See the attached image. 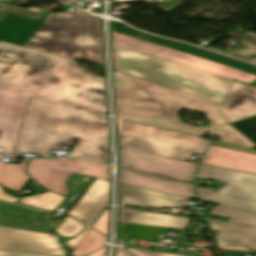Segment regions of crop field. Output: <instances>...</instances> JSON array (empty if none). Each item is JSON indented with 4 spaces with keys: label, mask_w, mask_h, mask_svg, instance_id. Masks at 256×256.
Masks as SVG:
<instances>
[{
    "label": "crop field",
    "mask_w": 256,
    "mask_h": 256,
    "mask_svg": "<svg viewBox=\"0 0 256 256\" xmlns=\"http://www.w3.org/2000/svg\"><path fill=\"white\" fill-rule=\"evenodd\" d=\"M212 229L222 230L215 237L218 245L256 248V228L225 222L208 221Z\"/></svg>",
    "instance_id": "obj_17"
},
{
    "label": "crop field",
    "mask_w": 256,
    "mask_h": 256,
    "mask_svg": "<svg viewBox=\"0 0 256 256\" xmlns=\"http://www.w3.org/2000/svg\"><path fill=\"white\" fill-rule=\"evenodd\" d=\"M188 221L189 219L176 216L119 208L118 222L184 229Z\"/></svg>",
    "instance_id": "obj_18"
},
{
    "label": "crop field",
    "mask_w": 256,
    "mask_h": 256,
    "mask_svg": "<svg viewBox=\"0 0 256 256\" xmlns=\"http://www.w3.org/2000/svg\"><path fill=\"white\" fill-rule=\"evenodd\" d=\"M211 145L256 154V151H254V150H252V149H250V148L235 146V145L226 144V143H221V142H217V141L212 142Z\"/></svg>",
    "instance_id": "obj_30"
},
{
    "label": "crop field",
    "mask_w": 256,
    "mask_h": 256,
    "mask_svg": "<svg viewBox=\"0 0 256 256\" xmlns=\"http://www.w3.org/2000/svg\"><path fill=\"white\" fill-rule=\"evenodd\" d=\"M0 256H39V255H30V254H21V253L0 251Z\"/></svg>",
    "instance_id": "obj_37"
},
{
    "label": "crop field",
    "mask_w": 256,
    "mask_h": 256,
    "mask_svg": "<svg viewBox=\"0 0 256 256\" xmlns=\"http://www.w3.org/2000/svg\"><path fill=\"white\" fill-rule=\"evenodd\" d=\"M3 10L18 14L21 16H25V17H28L31 19H35V20L41 18L43 15H45L47 13L45 11L35 9V8L24 9V8H17V7H13V6H8V7L4 8Z\"/></svg>",
    "instance_id": "obj_28"
},
{
    "label": "crop field",
    "mask_w": 256,
    "mask_h": 256,
    "mask_svg": "<svg viewBox=\"0 0 256 256\" xmlns=\"http://www.w3.org/2000/svg\"><path fill=\"white\" fill-rule=\"evenodd\" d=\"M229 35L243 41L249 49L248 52L238 56L237 58L246 60V59L256 55V35L251 34V33H245L240 29L234 31L233 33H231Z\"/></svg>",
    "instance_id": "obj_24"
},
{
    "label": "crop field",
    "mask_w": 256,
    "mask_h": 256,
    "mask_svg": "<svg viewBox=\"0 0 256 256\" xmlns=\"http://www.w3.org/2000/svg\"><path fill=\"white\" fill-rule=\"evenodd\" d=\"M85 227V225L66 217L55 231L63 236H71L78 233Z\"/></svg>",
    "instance_id": "obj_27"
},
{
    "label": "crop field",
    "mask_w": 256,
    "mask_h": 256,
    "mask_svg": "<svg viewBox=\"0 0 256 256\" xmlns=\"http://www.w3.org/2000/svg\"><path fill=\"white\" fill-rule=\"evenodd\" d=\"M256 175V155L210 146L200 162Z\"/></svg>",
    "instance_id": "obj_14"
},
{
    "label": "crop field",
    "mask_w": 256,
    "mask_h": 256,
    "mask_svg": "<svg viewBox=\"0 0 256 256\" xmlns=\"http://www.w3.org/2000/svg\"><path fill=\"white\" fill-rule=\"evenodd\" d=\"M116 116L179 120L177 112L206 113L212 126L227 123L218 104L185 92L113 71Z\"/></svg>",
    "instance_id": "obj_5"
},
{
    "label": "crop field",
    "mask_w": 256,
    "mask_h": 256,
    "mask_svg": "<svg viewBox=\"0 0 256 256\" xmlns=\"http://www.w3.org/2000/svg\"><path fill=\"white\" fill-rule=\"evenodd\" d=\"M92 228L103 233L105 236H108V222L97 220Z\"/></svg>",
    "instance_id": "obj_33"
},
{
    "label": "crop field",
    "mask_w": 256,
    "mask_h": 256,
    "mask_svg": "<svg viewBox=\"0 0 256 256\" xmlns=\"http://www.w3.org/2000/svg\"><path fill=\"white\" fill-rule=\"evenodd\" d=\"M126 249H128L130 252H132L136 256H176V255L154 253V252H148V251H142V250H136V249H130V248H126Z\"/></svg>",
    "instance_id": "obj_32"
},
{
    "label": "crop field",
    "mask_w": 256,
    "mask_h": 256,
    "mask_svg": "<svg viewBox=\"0 0 256 256\" xmlns=\"http://www.w3.org/2000/svg\"><path fill=\"white\" fill-rule=\"evenodd\" d=\"M0 249L66 255L57 236L0 227Z\"/></svg>",
    "instance_id": "obj_10"
},
{
    "label": "crop field",
    "mask_w": 256,
    "mask_h": 256,
    "mask_svg": "<svg viewBox=\"0 0 256 256\" xmlns=\"http://www.w3.org/2000/svg\"><path fill=\"white\" fill-rule=\"evenodd\" d=\"M119 183L195 199L193 185L167 180L127 169H119Z\"/></svg>",
    "instance_id": "obj_11"
},
{
    "label": "crop field",
    "mask_w": 256,
    "mask_h": 256,
    "mask_svg": "<svg viewBox=\"0 0 256 256\" xmlns=\"http://www.w3.org/2000/svg\"><path fill=\"white\" fill-rule=\"evenodd\" d=\"M64 198L49 191L30 197H23L19 203L53 211Z\"/></svg>",
    "instance_id": "obj_23"
},
{
    "label": "crop field",
    "mask_w": 256,
    "mask_h": 256,
    "mask_svg": "<svg viewBox=\"0 0 256 256\" xmlns=\"http://www.w3.org/2000/svg\"><path fill=\"white\" fill-rule=\"evenodd\" d=\"M221 112L228 122L256 115V88L233 81Z\"/></svg>",
    "instance_id": "obj_12"
},
{
    "label": "crop field",
    "mask_w": 256,
    "mask_h": 256,
    "mask_svg": "<svg viewBox=\"0 0 256 256\" xmlns=\"http://www.w3.org/2000/svg\"><path fill=\"white\" fill-rule=\"evenodd\" d=\"M0 41L104 67L100 20L79 10L48 13L38 22L0 11Z\"/></svg>",
    "instance_id": "obj_4"
},
{
    "label": "crop field",
    "mask_w": 256,
    "mask_h": 256,
    "mask_svg": "<svg viewBox=\"0 0 256 256\" xmlns=\"http://www.w3.org/2000/svg\"><path fill=\"white\" fill-rule=\"evenodd\" d=\"M70 158L109 163L107 116L31 98L14 150L51 158V149L72 146Z\"/></svg>",
    "instance_id": "obj_3"
},
{
    "label": "crop field",
    "mask_w": 256,
    "mask_h": 256,
    "mask_svg": "<svg viewBox=\"0 0 256 256\" xmlns=\"http://www.w3.org/2000/svg\"><path fill=\"white\" fill-rule=\"evenodd\" d=\"M97 232L89 229V231L87 232L86 236L84 237V239H87V240H91L92 237L96 234Z\"/></svg>",
    "instance_id": "obj_39"
},
{
    "label": "crop field",
    "mask_w": 256,
    "mask_h": 256,
    "mask_svg": "<svg viewBox=\"0 0 256 256\" xmlns=\"http://www.w3.org/2000/svg\"><path fill=\"white\" fill-rule=\"evenodd\" d=\"M247 249H252V248H246V250H247Z\"/></svg>",
    "instance_id": "obj_43"
},
{
    "label": "crop field",
    "mask_w": 256,
    "mask_h": 256,
    "mask_svg": "<svg viewBox=\"0 0 256 256\" xmlns=\"http://www.w3.org/2000/svg\"><path fill=\"white\" fill-rule=\"evenodd\" d=\"M2 156L3 154H0V159ZM26 160L27 159L22 160L19 165L0 162V185L20 192L30 179L26 173L23 172Z\"/></svg>",
    "instance_id": "obj_19"
},
{
    "label": "crop field",
    "mask_w": 256,
    "mask_h": 256,
    "mask_svg": "<svg viewBox=\"0 0 256 256\" xmlns=\"http://www.w3.org/2000/svg\"><path fill=\"white\" fill-rule=\"evenodd\" d=\"M105 251H106V248H103V249H101V250H99V251H97V252H95V253H93L89 256H102Z\"/></svg>",
    "instance_id": "obj_41"
},
{
    "label": "crop field",
    "mask_w": 256,
    "mask_h": 256,
    "mask_svg": "<svg viewBox=\"0 0 256 256\" xmlns=\"http://www.w3.org/2000/svg\"><path fill=\"white\" fill-rule=\"evenodd\" d=\"M103 242H104V238L99 233H97L91 241L82 240L81 243L74 250L72 255L74 256L86 255L102 247Z\"/></svg>",
    "instance_id": "obj_26"
},
{
    "label": "crop field",
    "mask_w": 256,
    "mask_h": 256,
    "mask_svg": "<svg viewBox=\"0 0 256 256\" xmlns=\"http://www.w3.org/2000/svg\"><path fill=\"white\" fill-rule=\"evenodd\" d=\"M197 177L226 183L219 191L196 186L200 199L256 212V176L200 164Z\"/></svg>",
    "instance_id": "obj_7"
},
{
    "label": "crop field",
    "mask_w": 256,
    "mask_h": 256,
    "mask_svg": "<svg viewBox=\"0 0 256 256\" xmlns=\"http://www.w3.org/2000/svg\"><path fill=\"white\" fill-rule=\"evenodd\" d=\"M187 201L188 199L186 198L119 184V204L138 207H178Z\"/></svg>",
    "instance_id": "obj_15"
},
{
    "label": "crop field",
    "mask_w": 256,
    "mask_h": 256,
    "mask_svg": "<svg viewBox=\"0 0 256 256\" xmlns=\"http://www.w3.org/2000/svg\"><path fill=\"white\" fill-rule=\"evenodd\" d=\"M210 134L218 135L221 137V142L256 148V146L250 140H248L230 124L222 127H210Z\"/></svg>",
    "instance_id": "obj_22"
},
{
    "label": "crop field",
    "mask_w": 256,
    "mask_h": 256,
    "mask_svg": "<svg viewBox=\"0 0 256 256\" xmlns=\"http://www.w3.org/2000/svg\"><path fill=\"white\" fill-rule=\"evenodd\" d=\"M115 70L224 103L232 79L251 83L256 66L112 22ZM256 87V82L252 85Z\"/></svg>",
    "instance_id": "obj_2"
},
{
    "label": "crop field",
    "mask_w": 256,
    "mask_h": 256,
    "mask_svg": "<svg viewBox=\"0 0 256 256\" xmlns=\"http://www.w3.org/2000/svg\"><path fill=\"white\" fill-rule=\"evenodd\" d=\"M0 199L6 200V201H11V202L18 200L17 198L9 196L6 193H4L1 187H0Z\"/></svg>",
    "instance_id": "obj_35"
},
{
    "label": "crop field",
    "mask_w": 256,
    "mask_h": 256,
    "mask_svg": "<svg viewBox=\"0 0 256 256\" xmlns=\"http://www.w3.org/2000/svg\"><path fill=\"white\" fill-rule=\"evenodd\" d=\"M103 256H106L105 254Z\"/></svg>",
    "instance_id": "obj_44"
},
{
    "label": "crop field",
    "mask_w": 256,
    "mask_h": 256,
    "mask_svg": "<svg viewBox=\"0 0 256 256\" xmlns=\"http://www.w3.org/2000/svg\"><path fill=\"white\" fill-rule=\"evenodd\" d=\"M231 125L256 145V116L231 123Z\"/></svg>",
    "instance_id": "obj_25"
},
{
    "label": "crop field",
    "mask_w": 256,
    "mask_h": 256,
    "mask_svg": "<svg viewBox=\"0 0 256 256\" xmlns=\"http://www.w3.org/2000/svg\"><path fill=\"white\" fill-rule=\"evenodd\" d=\"M88 229H89V228H88ZM88 229H87L86 231L84 230L85 232H83V233L77 235L76 237H74V238H72V239H70V240L64 242L65 245L68 246L70 249H75L76 246L80 243V241H81V240L83 239V237L85 236V234H86V232L88 231Z\"/></svg>",
    "instance_id": "obj_31"
},
{
    "label": "crop field",
    "mask_w": 256,
    "mask_h": 256,
    "mask_svg": "<svg viewBox=\"0 0 256 256\" xmlns=\"http://www.w3.org/2000/svg\"><path fill=\"white\" fill-rule=\"evenodd\" d=\"M107 113L105 80L75 61L0 42V147L12 154L29 98Z\"/></svg>",
    "instance_id": "obj_1"
},
{
    "label": "crop field",
    "mask_w": 256,
    "mask_h": 256,
    "mask_svg": "<svg viewBox=\"0 0 256 256\" xmlns=\"http://www.w3.org/2000/svg\"><path fill=\"white\" fill-rule=\"evenodd\" d=\"M124 119L137 121V122H141V123H145V124H149V125H153V126H158V127H162V128H167V129H171V130H175V131H180V132H184V133H189V134H193V135H197V136H200L204 132L208 131V128H206V127L201 128V127H196V126H190V125H186L185 123L179 122V121L158 120V119H141V118H124Z\"/></svg>",
    "instance_id": "obj_20"
},
{
    "label": "crop field",
    "mask_w": 256,
    "mask_h": 256,
    "mask_svg": "<svg viewBox=\"0 0 256 256\" xmlns=\"http://www.w3.org/2000/svg\"><path fill=\"white\" fill-rule=\"evenodd\" d=\"M51 216V213H47L45 212L43 214V218L50 224V226L52 227L53 231L56 229V227L58 226V224L54 223L53 221H51L49 218Z\"/></svg>",
    "instance_id": "obj_36"
},
{
    "label": "crop field",
    "mask_w": 256,
    "mask_h": 256,
    "mask_svg": "<svg viewBox=\"0 0 256 256\" xmlns=\"http://www.w3.org/2000/svg\"><path fill=\"white\" fill-rule=\"evenodd\" d=\"M117 256H131V255L126 251H124L123 249L117 247Z\"/></svg>",
    "instance_id": "obj_38"
},
{
    "label": "crop field",
    "mask_w": 256,
    "mask_h": 256,
    "mask_svg": "<svg viewBox=\"0 0 256 256\" xmlns=\"http://www.w3.org/2000/svg\"><path fill=\"white\" fill-rule=\"evenodd\" d=\"M119 166L146 171L174 179L192 181L197 164L119 148Z\"/></svg>",
    "instance_id": "obj_9"
},
{
    "label": "crop field",
    "mask_w": 256,
    "mask_h": 256,
    "mask_svg": "<svg viewBox=\"0 0 256 256\" xmlns=\"http://www.w3.org/2000/svg\"><path fill=\"white\" fill-rule=\"evenodd\" d=\"M99 219H100V220H106V221H108V219H109L108 209H105V211L103 212V214L100 216Z\"/></svg>",
    "instance_id": "obj_40"
},
{
    "label": "crop field",
    "mask_w": 256,
    "mask_h": 256,
    "mask_svg": "<svg viewBox=\"0 0 256 256\" xmlns=\"http://www.w3.org/2000/svg\"><path fill=\"white\" fill-rule=\"evenodd\" d=\"M210 214L229 217V222L256 226V213L253 212L219 205L214 207Z\"/></svg>",
    "instance_id": "obj_21"
},
{
    "label": "crop field",
    "mask_w": 256,
    "mask_h": 256,
    "mask_svg": "<svg viewBox=\"0 0 256 256\" xmlns=\"http://www.w3.org/2000/svg\"><path fill=\"white\" fill-rule=\"evenodd\" d=\"M248 51L247 47L243 44L239 45L237 48L233 49L231 52L229 51H226V52H221V53H225V54H228V55H231V56H238L244 52Z\"/></svg>",
    "instance_id": "obj_34"
},
{
    "label": "crop field",
    "mask_w": 256,
    "mask_h": 256,
    "mask_svg": "<svg viewBox=\"0 0 256 256\" xmlns=\"http://www.w3.org/2000/svg\"><path fill=\"white\" fill-rule=\"evenodd\" d=\"M221 249H236V250H245V248H239V247H226V246H219Z\"/></svg>",
    "instance_id": "obj_42"
},
{
    "label": "crop field",
    "mask_w": 256,
    "mask_h": 256,
    "mask_svg": "<svg viewBox=\"0 0 256 256\" xmlns=\"http://www.w3.org/2000/svg\"><path fill=\"white\" fill-rule=\"evenodd\" d=\"M119 147L186 160L203 154L211 141L117 118Z\"/></svg>",
    "instance_id": "obj_6"
},
{
    "label": "crop field",
    "mask_w": 256,
    "mask_h": 256,
    "mask_svg": "<svg viewBox=\"0 0 256 256\" xmlns=\"http://www.w3.org/2000/svg\"><path fill=\"white\" fill-rule=\"evenodd\" d=\"M109 197V182L96 179L70 212L69 216L89 225L101 208L109 203Z\"/></svg>",
    "instance_id": "obj_13"
},
{
    "label": "crop field",
    "mask_w": 256,
    "mask_h": 256,
    "mask_svg": "<svg viewBox=\"0 0 256 256\" xmlns=\"http://www.w3.org/2000/svg\"><path fill=\"white\" fill-rule=\"evenodd\" d=\"M83 176L82 175H78V174H72L67 180V187H68V191H69V196L67 197V199L65 200V202H67V200L69 199V197L71 196V194L73 193V191L76 189V187L78 186V184L80 183V181L82 180Z\"/></svg>",
    "instance_id": "obj_29"
},
{
    "label": "crop field",
    "mask_w": 256,
    "mask_h": 256,
    "mask_svg": "<svg viewBox=\"0 0 256 256\" xmlns=\"http://www.w3.org/2000/svg\"><path fill=\"white\" fill-rule=\"evenodd\" d=\"M36 211L0 202V225L50 233V229Z\"/></svg>",
    "instance_id": "obj_16"
},
{
    "label": "crop field",
    "mask_w": 256,
    "mask_h": 256,
    "mask_svg": "<svg viewBox=\"0 0 256 256\" xmlns=\"http://www.w3.org/2000/svg\"><path fill=\"white\" fill-rule=\"evenodd\" d=\"M109 166L84 159L71 161L31 159L28 174L39 184L57 194L68 196L65 180L72 172L109 181Z\"/></svg>",
    "instance_id": "obj_8"
}]
</instances>
